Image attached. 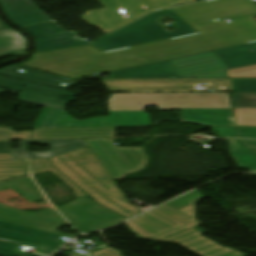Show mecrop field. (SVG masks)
Here are the masks:
<instances>
[{
	"instance_id": "obj_1",
	"label": "crop field",
	"mask_w": 256,
	"mask_h": 256,
	"mask_svg": "<svg viewBox=\"0 0 256 256\" xmlns=\"http://www.w3.org/2000/svg\"><path fill=\"white\" fill-rule=\"evenodd\" d=\"M256 16L194 28L198 34L128 49L101 53L79 47L34 54L24 63L34 69L69 79L112 72L256 42Z\"/></svg>"
},
{
	"instance_id": "obj_2",
	"label": "crop field",
	"mask_w": 256,
	"mask_h": 256,
	"mask_svg": "<svg viewBox=\"0 0 256 256\" xmlns=\"http://www.w3.org/2000/svg\"><path fill=\"white\" fill-rule=\"evenodd\" d=\"M52 164L73 180L98 203L130 218L143 212L127 203L108 172L88 147L51 158Z\"/></svg>"
},
{
	"instance_id": "obj_3",
	"label": "crop field",
	"mask_w": 256,
	"mask_h": 256,
	"mask_svg": "<svg viewBox=\"0 0 256 256\" xmlns=\"http://www.w3.org/2000/svg\"><path fill=\"white\" fill-rule=\"evenodd\" d=\"M126 225L138 237L178 243L200 256H246L200 236L202 233L154 209Z\"/></svg>"
},
{
	"instance_id": "obj_4",
	"label": "crop field",
	"mask_w": 256,
	"mask_h": 256,
	"mask_svg": "<svg viewBox=\"0 0 256 256\" xmlns=\"http://www.w3.org/2000/svg\"><path fill=\"white\" fill-rule=\"evenodd\" d=\"M104 8L85 12L82 19L92 27L109 33L151 11H157L195 0H97Z\"/></svg>"
},
{
	"instance_id": "obj_5",
	"label": "crop field",
	"mask_w": 256,
	"mask_h": 256,
	"mask_svg": "<svg viewBox=\"0 0 256 256\" xmlns=\"http://www.w3.org/2000/svg\"><path fill=\"white\" fill-rule=\"evenodd\" d=\"M164 15H170L176 21V31L169 33L157 23L158 18ZM190 33H194V30L175 13L168 10L152 13L92 45L102 51H107Z\"/></svg>"
},
{
	"instance_id": "obj_6",
	"label": "crop field",
	"mask_w": 256,
	"mask_h": 256,
	"mask_svg": "<svg viewBox=\"0 0 256 256\" xmlns=\"http://www.w3.org/2000/svg\"><path fill=\"white\" fill-rule=\"evenodd\" d=\"M7 188L14 189L32 202L44 198L43 194L40 192L31 178H25L8 183H0V190ZM0 221L29 227L68 238L75 237L57 231L59 227L68 225V223L53 208L30 214L0 205Z\"/></svg>"
},
{
	"instance_id": "obj_7",
	"label": "crop field",
	"mask_w": 256,
	"mask_h": 256,
	"mask_svg": "<svg viewBox=\"0 0 256 256\" xmlns=\"http://www.w3.org/2000/svg\"><path fill=\"white\" fill-rule=\"evenodd\" d=\"M110 92H232L230 79L102 80Z\"/></svg>"
},
{
	"instance_id": "obj_8",
	"label": "crop field",
	"mask_w": 256,
	"mask_h": 256,
	"mask_svg": "<svg viewBox=\"0 0 256 256\" xmlns=\"http://www.w3.org/2000/svg\"><path fill=\"white\" fill-rule=\"evenodd\" d=\"M113 180L141 171L147 167L148 157L142 148H117L113 139H84Z\"/></svg>"
},
{
	"instance_id": "obj_9",
	"label": "crop field",
	"mask_w": 256,
	"mask_h": 256,
	"mask_svg": "<svg viewBox=\"0 0 256 256\" xmlns=\"http://www.w3.org/2000/svg\"><path fill=\"white\" fill-rule=\"evenodd\" d=\"M190 26L226 18L256 13V5L249 0H210L172 9Z\"/></svg>"
},
{
	"instance_id": "obj_10",
	"label": "crop field",
	"mask_w": 256,
	"mask_h": 256,
	"mask_svg": "<svg viewBox=\"0 0 256 256\" xmlns=\"http://www.w3.org/2000/svg\"><path fill=\"white\" fill-rule=\"evenodd\" d=\"M58 210L83 233L125 219L86 197L68 203L58 208Z\"/></svg>"
},
{
	"instance_id": "obj_11",
	"label": "crop field",
	"mask_w": 256,
	"mask_h": 256,
	"mask_svg": "<svg viewBox=\"0 0 256 256\" xmlns=\"http://www.w3.org/2000/svg\"><path fill=\"white\" fill-rule=\"evenodd\" d=\"M31 34L35 40V51L42 52L53 49H60L72 46L85 45L89 42L73 40L77 36L74 32L69 33L57 26L53 21L23 28Z\"/></svg>"
},
{
	"instance_id": "obj_12",
	"label": "crop field",
	"mask_w": 256,
	"mask_h": 256,
	"mask_svg": "<svg viewBox=\"0 0 256 256\" xmlns=\"http://www.w3.org/2000/svg\"><path fill=\"white\" fill-rule=\"evenodd\" d=\"M6 16L20 28L51 21L31 0H0Z\"/></svg>"
},
{
	"instance_id": "obj_13",
	"label": "crop field",
	"mask_w": 256,
	"mask_h": 256,
	"mask_svg": "<svg viewBox=\"0 0 256 256\" xmlns=\"http://www.w3.org/2000/svg\"><path fill=\"white\" fill-rule=\"evenodd\" d=\"M0 238L57 249L59 236L0 222Z\"/></svg>"
},
{
	"instance_id": "obj_14",
	"label": "crop field",
	"mask_w": 256,
	"mask_h": 256,
	"mask_svg": "<svg viewBox=\"0 0 256 256\" xmlns=\"http://www.w3.org/2000/svg\"><path fill=\"white\" fill-rule=\"evenodd\" d=\"M217 56V55H216ZM213 52L171 60V64L182 77H190L220 70L226 67Z\"/></svg>"
},
{
	"instance_id": "obj_15",
	"label": "crop field",
	"mask_w": 256,
	"mask_h": 256,
	"mask_svg": "<svg viewBox=\"0 0 256 256\" xmlns=\"http://www.w3.org/2000/svg\"><path fill=\"white\" fill-rule=\"evenodd\" d=\"M0 74L25 80V81L46 85V86L57 88L64 91L68 90L70 87H72L77 83V81H72L69 79L57 77L54 75H50L47 73H43V72L26 68L23 66H19V65H11L8 68L0 70Z\"/></svg>"
},
{
	"instance_id": "obj_16",
	"label": "crop field",
	"mask_w": 256,
	"mask_h": 256,
	"mask_svg": "<svg viewBox=\"0 0 256 256\" xmlns=\"http://www.w3.org/2000/svg\"><path fill=\"white\" fill-rule=\"evenodd\" d=\"M46 127H105V124L103 117L76 121L66 111L44 107L32 128Z\"/></svg>"
},
{
	"instance_id": "obj_17",
	"label": "crop field",
	"mask_w": 256,
	"mask_h": 256,
	"mask_svg": "<svg viewBox=\"0 0 256 256\" xmlns=\"http://www.w3.org/2000/svg\"><path fill=\"white\" fill-rule=\"evenodd\" d=\"M201 198H203V196L197 190H195L157 209L187 223L188 225L202 232H205L204 230L196 227L201 223L196 221L194 203Z\"/></svg>"
},
{
	"instance_id": "obj_18",
	"label": "crop field",
	"mask_w": 256,
	"mask_h": 256,
	"mask_svg": "<svg viewBox=\"0 0 256 256\" xmlns=\"http://www.w3.org/2000/svg\"><path fill=\"white\" fill-rule=\"evenodd\" d=\"M28 143H40L50 145V152L29 153ZM21 150H13L15 159L21 158H48L57 156L81 147L86 146L83 140L54 141V140H38V141H21Z\"/></svg>"
},
{
	"instance_id": "obj_19",
	"label": "crop field",
	"mask_w": 256,
	"mask_h": 256,
	"mask_svg": "<svg viewBox=\"0 0 256 256\" xmlns=\"http://www.w3.org/2000/svg\"><path fill=\"white\" fill-rule=\"evenodd\" d=\"M109 74L111 77L182 78L169 61Z\"/></svg>"
},
{
	"instance_id": "obj_20",
	"label": "crop field",
	"mask_w": 256,
	"mask_h": 256,
	"mask_svg": "<svg viewBox=\"0 0 256 256\" xmlns=\"http://www.w3.org/2000/svg\"><path fill=\"white\" fill-rule=\"evenodd\" d=\"M115 129H35L30 139L114 137Z\"/></svg>"
},
{
	"instance_id": "obj_21",
	"label": "crop field",
	"mask_w": 256,
	"mask_h": 256,
	"mask_svg": "<svg viewBox=\"0 0 256 256\" xmlns=\"http://www.w3.org/2000/svg\"><path fill=\"white\" fill-rule=\"evenodd\" d=\"M227 69L256 64V43L215 51Z\"/></svg>"
},
{
	"instance_id": "obj_22",
	"label": "crop field",
	"mask_w": 256,
	"mask_h": 256,
	"mask_svg": "<svg viewBox=\"0 0 256 256\" xmlns=\"http://www.w3.org/2000/svg\"><path fill=\"white\" fill-rule=\"evenodd\" d=\"M183 120L209 125H234L231 109H182Z\"/></svg>"
},
{
	"instance_id": "obj_23",
	"label": "crop field",
	"mask_w": 256,
	"mask_h": 256,
	"mask_svg": "<svg viewBox=\"0 0 256 256\" xmlns=\"http://www.w3.org/2000/svg\"><path fill=\"white\" fill-rule=\"evenodd\" d=\"M13 83H18L26 87L22 88L20 87L21 85H15ZM0 87L30 92L34 94L44 95V96L58 98V99L67 100V101H74L76 97V95L73 93H68V92L57 90V89L49 88L46 86L25 82L17 79H11L3 76H0ZM60 95L69 97L71 99L59 97Z\"/></svg>"
},
{
	"instance_id": "obj_24",
	"label": "crop field",
	"mask_w": 256,
	"mask_h": 256,
	"mask_svg": "<svg viewBox=\"0 0 256 256\" xmlns=\"http://www.w3.org/2000/svg\"><path fill=\"white\" fill-rule=\"evenodd\" d=\"M106 120L108 126H141L149 124V114L146 112H109Z\"/></svg>"
},
{
	"instance_id": "obj_25",
	"label": "crop field",
	"mask_w": 256,
	"mask_h": 256,
	"mask_svg": "<svg viewBox=\"0 0 256 256\" xmlns=\"http://www.w3.org/2000/svg\"><path fill=\"white\" fill-rule=\"evenodd\" d=\"M229 143L231 155L239 167L256 172V156L246 150L237 140H229Z\"/></svg>"
},
{
	"instance_id": "obj_26",
	"label": "crop field",
	"mask_w": 256,
	"mask_h": 256,
	"mask_svg": "<svg viewBox=\"0 0 256 256\" xmlns=\"http://www.w3.org/2000/svg\"><path fill=\"white\" fill-rule=\"evenodd\" d=\"M30 175L27 161H0V181Z\"/></svg>"
},
{
	"instance_id": "obj_27",
	"label": "crop field",
	"mask_w": 256,
	"mask_h": 256,
	"mask_svg": "<svg viewBox=\"0 0 256 256\" xmlns=\"http://www.w3.org/2000/svg\"><path fill=\"white\" fill-rule=\"evenodd\" d=\"M4 92H12V91L0 89V93H4ZM12 93H17V92H12ZM18 98H19V101L23 103L46 106V107L57 108L62 110H65L67 104L69 103L67 101H62L58 99L48 98V97L34 95L30 93H25V92L19 93Z\"/></svg>"
},
{
	"instance_id": "obj_28",
	"label": "crop field",
	"mask_w": 256,
	"mask_h": 256,
	"mask_svg": "<svg viewBox=\"0 0 256 256\" xmlns=\"http://www.w3.org/2000/svg\"><path fill=\"white\" fill-rule=\"evenodd\" d=\"M32 163V171L33 175L44 173L51 171L56 176H58L61 180H63L65 183H67L69 186H71L76 194V198H80L83 196H86L83 192H81L74 184H72L67 178H65L62 174H60L51 164L49 159H39V160H31ZM70 187V188H71Z\"/></svg>"
},
{
	"instance_id": "obj_29",
	"label": "crop field",
	"mask_w": 256,
	"mask_h": 256,
	"mask_svg": "<svg viewBox=\"0 0 256 256\" xmlns=\"http://www.w3.org/2000/svg\"><path fill=\"white\" fill-rule=\"evenodd\" d=\"M22 245L31 246V247H34L37 249H41L39 254L46 255V256H49L52 252L55 251L54 249H49V248H44V247L28 245V244H23V243L12 242V241L0 239V256H17V255L37 256V255H33V254L17 253V250Z\"/></svg>"
},
{
	"instance_id": "obj_30",
	"label": "crop field",
	"mask_w": 256,
	"mask_h": 256,
	"mask_svg": "<svg viewBox=\"0 0 256 256\" xmlns=\"http://www.w3.org/2000/svg\"><path fill=\"white\" fill-rule=\"evenodd\" d=\"M27 44L26 39L13 29L0 31V51Z\"/></svg>"
},
{
	"instance_id": "obj_31",
	"label": "crop field",
	"mask_w": 256,
	"mask_h": 256,
	"mask_svg": "<svg viewBox=\"0 0 256 256\" xmlns=\"http://www.w3.org/2000/svg\"><path fill=\"white\" fill-rule=\"evenodd\" d=\"M198 78H256V66L212 74Z\"/></svg>"
},
{
	"instance_id": "obj_32",
	"label": "crop field",
	"mask_w": 256,
	"mask_h": 256,
	"mask_svg": "<svg viewBox=\"0 0 256 256\" xmlns=\"http://www.w3.org/2000/svg\"><path fill=\"white\" fill-rule=\"evenodd\" d=\"M234 108H256V93H232Z\"/></svg>"
},
{
	"instance_id": "obj_33",
	"label": "crop field",
	"mask_w": 256,
	"mask_h": 256,
	"mask_svg": "<svg viewBox=\"0 0 256 256\" xmlns=\"http://www.w3.org/2000/svg\"><path fill=\"white\" fill-rule=\"evenodd\" d=\"M236 125L256 126V109H234Z\"/></svg>"
},
{
	"instance_id": "obj_34",
	"label": "crop field",
	"mask_w": 256,
	"mask_h": 256,
	"mask_svg": "<svg viewBox=\"0 0 256 256\" xmlns=\"http://www.w3.org/2000/svg\"><path fill=\"white\" fill-rule=\"evenodd\" d=\"M233 85L236 92L256 91V80H233Z\"/></svg>"
},
{
	"instance_id": "obj_35",
	"label": "crop field",
	"mask_w": 256,
	"mask_h": 256,
	"mask_svg": "<svg viewBox=\"0 0 256 256\" xmlns=\"http://www.w3.org/2000/svg\"><path fill=\"white\" fill-rule=\"evenodd\" d=\"M213 132L220 138H235L234 127H213Z\"/></svg>"
},
{
	"instance_id": "obj_36",
	"label": "crop field",
	"mask_w": 256,
	"mask_h": 256,
	"mask_svg": "<svg viewBox=\"0 0 256 256\" xmlns=\"http://www.w3.org/2000/svg\"><path fill=\"white\" fill-rule=\"evenodd\" d=\"M238 138H256V127H237Z\"/></svg>"
},
{
	"instance_id": "obj_37",
	"label": "crop field",
	"mask_w": 256,
	"mask_h": 256,
	"mask_svg": "<svg viewBox=\"0 0 256 256\" xmlns=\"http://www.w3.org/2000/svg\"><path fill=\"white\" fill-rule=\"evenodd\" d=\"M27 47H28V45L19 47V48L2 51V52H0V58L6 57V56H11V55L18 56V55L25 54L27 52Z\"/></svg>"
},
{
	"instance_id": "obj_38",
	"label": "crop field",
	"mask_w": 256,
	"mask_h": 256,
	"mask_svg": "<svg viewBox=\"0 0 256 256\" xmlns=\"http://www.w3.org/2000/svg\"><path fill=\"white\" fill-rule=\"evenodd\" d=\"M91 254H94L93 256H120L121 255L119 251H116L110 247L99 252H93ZM76 256H82V255L78 254Z\"/></svg>"
},
{
	"instance_id": "obj_39",
	"label": "crop field",
	"mask_w": 256,
	"mask_h": 256,
	"mask_svg": "<svg viewBox=\"0 0 256 256\" xmlns=\"http://www.w3.org/2000/svg\"><path fill=\"white\" fill-rule=\"evenodd\" d=\"M248 149L256 153V140H240Z\"/></svg>"
},
{
	"instance_id": "obj_40",
	"label": "crop field",
	"mask_w": 256,
	"mask_h": 256,
	"mask_svg": "<svg viewBox=\"0 0 256 256\" xmlns=\"http://www.w3.org/2000/svg\"><path fill=\"white\" fill-rule=\"evenodd\" d=\"M0 153H12V147L10 142L0 143Z\"/></svg>"
},
{
	"instance_id": "obj_41",
	"label": "crop field",
	"mask_w": 256,
	"mask_h": 256,
	"mask_svg": "<svg viewBox=\"0 0 256 256\" xmlns=\"http://www.w3.org/2000/svg\"><path fill=\"white\" fill-rule=\"evenodd\" d=\"M0 160H12L10 154H0Z\"/></svg>"
},
{
	"instance_id": "obj_42",
	"label": "crop field",
	"mask_w": 256,
	"mask_h": 256,
	"mask_svg": "<svg viewBox=\"0 0 256 256\" xmlns=\"http://www.w3.org/2000/svg\"><path fill=\"white\" fill-rule=\"evenodd\" d=\"M9 27L4 25L0 19V30H3V29H8Z\"/></svg>"
},
{
	"instance_id": "obj_43",
	"label": "crop field",
	"mask_w": 256,
	"mask_h": 256,
	"mask_svg": "<svg viewBox=\"0 0 256 256\" xmlns=\"http://www.w3.org/2000/svg\"><path fill=\"white\" fill-rule=\"evenodd\" d=\"M249 175H253V176H256V174H249Z\"/></svg>"
},
{
	"instance_id": "obj_44",
	"label": "crop field",
	"mask_w": 256,
	"mask_h": 256,
	"mask_svg": "<svg viewBox=\"0 0 256 256\" xmlns=\"http://www.w3.org/2000/svg\"><path fill=\"white\" fill-rule=\"evenodd\" d=\"M126 220V219H125ZM124 221V220H123ZM120 222H122V221H120ZM119 223V222H118ZM116 224V223H115ZM114 225V224H113ZM111 226V225H110Z\"/></svg>"
},
{
	"instance_id": "obj_45",
	"label": "crop field",
	"mask_w": 256,
	"mask_h": 256,
	"mask_svg": "<svg viewBox=\"0 0 256 256\" xmlns=\"http://www.w3.org/2000/svg\"><path fill=\"white\" fill-rule=\"evenodd\" d=\"M196 1H199V0H196Z\"/></svg>"
}]
</instances>
